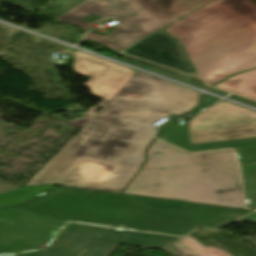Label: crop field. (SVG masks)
I'll list each match as a JSON object with an SVG mask.
<instances>
[{
	"mask_svg": "<svg viewBox=\"0 0 256 256\" xmlns=\"http://www.w3.org/2000/svg\"><path fill=\"white\" fill-rule=\"evenodd\" d=\"M197 101V91L137 71L26 186L119 192L144 161L156 130L152 124L170 113L184 114Z\"/></svg>",
	"mask_w": 256,
	"mask_h": 256,
	"instance_id": "obj_1",
	"label": "crop field"
},
{
	"mask_svg": "<svg viewBox=\"0 0 256 256\" xmlns=\"http://www.w3.org/2000/svg\"><path fill=\"white\" fill-rule=\"evenodd\" d=\"M62 221L184 235L198 226L219 228L251 211L59 188L16 206Z\"/></svg>",
	"mask_w": 256,
	"mask_h": 256,
	"instance_id": "obj_2",
	"label": "crop field"
},
{
	"mask_svg": "<svg viewBox=\"0 0 256 256\" xmlns=\"http://www.w3.org/2000/svg\"><path fill=\"white\" fill-rule=\"evenodd\" d=\"M147 155L143 170L122 193L243 208L231 149L187 153L156 139Z\"/></svg>",
	"mask_w": 256,
	"mask_h": 256,
	"instance_id": "obj_3",
	"label": "crop field"
},
{
	"mask_svg": "<svg viewBox=\"0 0 256 256\" xmlns=\"http://www.w3.org/2000/svg\"><path fill=\"white\" fill-rule=\"evenodd\" d=\"M164 30L180 40L207 84L256 68L254 0H217Z\"/></svg>",
	"mask_w": 256,
	"mask_h": 256,
	"instance_id": "obj_4",
	"label": "crop field"
},
{
	"mask_svg": "<svg viewBox=\"0 0 256 256\" xmlns=\"http://www.w3.org/2000/svg\"><path fill=\"white\" fill-rule=\"evenodd\" d=\"M109 18L119 21L114 32L106 37L89 32L85 37L118 51L173 21L150 0H87L54 20L87 31Z\"/></svg>",
	"mask_w": 256,
	"mask_h": 256,
	"instance_id": "obj_5",
	"label": "crop field"
},
{
	"mask_svg": "<svg viewBox=\"0 0 256 256\" xmlns=\"http://www.w3.org/2000/svg\"><path fill=\"white\" fill-rule=\"evenodd\" d=\"M181 237L69 223L42 251L6 256H110L120 245L163 249Z\"/></svg>",
	"mask_w": 256,
	"mask_h": 256,
	"instance_id": "obj_6",
	"label": "crop field"
},
{
	"mask_svg": "<svg viewBox=\"0 0 256 256\" xmlns=\"http://www.w3.org/2000/svg\"><path fill=\"white\" fill-rule=\"evenodd\" d=\"M188 124L190 144L256 137V112L224 100Z\"/></svg>",
	"mask_w": 256,
	"mask_h": 256,
	"instance_id": "obj_7",
	"label": "crop field"
},
{
	"mask_svg": "<svg viewBox=\"0 0 256 256\" xmlns=\"http://www.w3.org/2000/svg\"><path fill=\"white\" fill-rule=\"evenodd\" d=\"M64 224L15 207L0 209V255L39 249Z\"/></svg>",
	"mask_w": 256,
	"mask_h": 256,
	"instance_id": "obj_8",
	"label": "crop field"
},
{
	"mask_svg": "<svg viewBox=\"0 0 256 256\" xmlns=\"http://www.w3.org/2000/svg\"><path fill=\"white\" fill-rule=\"evenodd\" d=\"M73 70L75 73L91 78L84 86L91 89L92 95L103 98L95 107L89 108L85 119L67 121V123L82 128L135 74L133 70L106 60L75 50Z\"/></svg>",
	"mask_w": 256,
	"mask_h": 256,
	"instance_id": "obj_9",
	"label": "crop field"
},
{
	"mask_svg": "<svg viewBox=\"0 0 256 256\" xmlns=\"http://www.w3.org/2000/svg\"><path fill=\"white\" fill-rule=\"evenodd\" d=\"M166 34L160 31L140 41L124 53L193 75L192 67L179 42Z\"/></svg>",
	"mask_w": 256,
	"mask_h": 256,
	"instance_id": "obj_10",
	"label": "crop field"
},
{
	"mask_svg": "<svg viewBox=\"0 0 256 256\" xmlns=\"http://www.w3.org/2000/svg\"><path fill=\"white\" fill-rule=\"evenodd\" d=\"M158 138L176 144L188 151L232 147L236 151L240 164L256 162V138L189 145L188 129L172 121L160 129Z\"/></svg>",
	"mask_w": 256,
	"mask_h": 256,
	"instance_id": "obj_11",
	"label": "crop field"
},
{
	"mask_svg": "<svg viewBox=\"0 0 256 256\" xmlns=\"http://www.w3.org/2000/svg\"><path fill=\"white\" fill-rule=\"evenodd\" d=\"M215 87L256 100V70L237 74Z\"/></svg>",
	"mask_w": 256,
	"mask_h": 256,
	"instance_id": "obj_12",
	"label": "crop field"
},
{
	"mask_svg": "<svg viewBox=\"0 0 256 256\" xmlns=\"http://www.w3.org/2000/svg\"><path fill=\"white\" fill-rule=\"evenodd\" d=\"M56 184L23 187L21 189L0 194V207L25 203L34 197L51 190Z\"/></svg>",
	"mask_w": 256,
	"mask_h": 256,
	"instance_id": "obj_13",
	"label": "crop field"
},
{
	"mask_svg": "<svg viewBox=\"0 0 256 256\" xmlns=\"http://www.w3.org/2000/svg\"><path fill=\"white\" fill-rule=\"evenodd\" d=\"M211 0H155L153 1L174 19Z\"/></svg>",
	"mask_w": 256,
	"mask_h": 256,
	"instance_id": "obj_14",
	"label": "crop field"
},
{
	"mask_svg": "<svg viewBox=\"0 0 256 256\" xmlns=\"http://www.w3.org/2000/svg\"><path fill=\"white\" fill-rule=\"evenodd\" d=\"M184 252H188L194 256H231L227 252L215 247L204 248L191 236H187L174 244Z\"/></svg>",
	"mask_w": 256,
	"mask_h": 256,
	"instance_id": "obj_15",
	"label": "crop field"
},
{
	"mask_svg": "<svg viewBox=\"0 0 256 256\" xmlns=\"http://www.w3.org/2000/svg\"><path fill=\"white\" fill-rule=\"evenodd\" d=\"M248 208L256 209V164L241 165Z\"/></svg>",
	"mask_w": 256,
	"mask_h": 256,
	"instance_id": "obj_16",
	"label": "crop field"
},
{
	"mask_svg": "<svg viewBox=\"0 0 256 256\" xmlns=\"http://www.w3.org/2000/svg\"><path fill=\"white\" fill-rule=\"evenodd\" d=\"M119 55L126 58V59L132 60V61L140 63L142 65H145V66H148V67H151V68H154V69H157V70H160V71H163V72L175 75V76H180V77L187 78V79H190V80L192 79L191 76H188V75H185V74H182V73H179V72H176V71H173V70H170V69L158 66V65H154V64H151V63H148V62H145V61H142V60L124 55V54H121V53H119Z\"/></svg>",
	"mask_w": 256,
	"mask_h": 256,
	"instance_id": "obj_17",
	"label": "crop field"
},
{
	"mask_svg": "<svg viewBox=\"0 0 256 256\" xmlns=\"http://www.w3.org/2000/svg\"><path fill=\"white\" fill-rule=\"evenodd\" d=\"M217 100H219V99L215 98L213 96L204 94V95L201 96V101H200L199 107L196 108L195 110H193L192 112H190L189 114L193 115V114L207 108L208 106H210L211 104H213Z\"/></svg>",
	"mask_w": 256,
	"mask_h": 256,
	"instance_id": "obj_18",
	"label": "crop field"
},
{
	"mask_svg": "<svg viewBox=\"0 0 256 256\" xmlns=\"http://www.w3.org/2000/svg\"><path fill=\"white\" fill-rule=\"evenodd\" d=\"M141 68H142V67H141ZM143 69H146V70H149V71H152V72H155V73H158V74H161V75H164V76H167V77H170V78H173V79L179 80V81H182V82H184V83H187V84H190V85H193V86L199 87V88H203V89H206V88H207V87H204V86H201V85L195 84V83H193V82H192V81H190V80L183 79V78H180V77H175V76H172V75H169V74H166V73H163V72H160V71H157V70H154V69H151V68L145 67V66H143Z\"/></svg>",
	"mask_w": 256,
	"mask_h": 256,
	"instance_id": "obj_19",
	"label": "crop field"
},
{
	"mask_svg": "<svg viewBox=\"0 0 256 256\" xmlns=\"http://www.w3.org/2000/svg\"><path fill=\"white\" fill-rule=\"evenodd\" d=\"M228 97L256 107V102H253L244 98H240L234 95H230Z\"/></svg>",
	"mask_w": 256,
	"mask_h": 256,
	"instance_id": "obj_20",
	"label": "crop field"
},
{
	"mask_svg": "<svg viewBox=\"0 0 256 256\" xmlns=\"http://www.w3.org/2000/svg\"><path fill=\"white\" fill-rule=\"evenodd\" d=\"M13 189H17V188L10 186L8 184H5L3 182H0V193L9 191V190H13Z\"/></svg>",
	"mask_w": 256,
	"mask_h": 256,
	"instance_id": "obj_21",
	"label": "crop field"
},
{
	"mask_svg": "<svg viewBox=\"0 0 256 256\" xmlns=\"http://www.w3.org/2000/svg\"><path fill=\"white\" fill-rule=\"evenodd\" d=\"M102 55H105V56H108V57H111V58H114V59H117V60H120V61L129 63V64H131V65H134V66H137V67H140V68L142 67V65H139V64H136V63H133V62H130V61L122 60V59L116 58V57H114V56L105 54V53H103Z\"/></svg>",
	"mask_w": 256,
	"mask_h": 256,
	"instance_id": "obj_22",
	"label": "crop field"
},
{
	"mask_svg": "<svg viewBox=\"0 0 256 256\" xmlns=\"http://www.w3.org/2000/svg\"><path fill=\"white\" fill-rule=\"evenodd\" d=\"M242 220H246V221H249V222H252V223H256V213L242 219Z\"/></svg>",
	"mask_w": 256,
	"mask_h": 256,
	"instance_id": "obj_23",
	"label": "crop field"
},
{
	"mask_svg": "<svg viewBox=\"0 0 256 256\" xmlns=\"http://www.w3.org/2000/svg\"><path fill=\"white\" fill-rule=\"evenodd\" d=\"M209 91H211V92H214V93H217V94H220V95H223V96H225V95H227L228 93H226V92H222V91H219V90H216V89H213V88H211V89H208Z\"/></svg>",
	"mask_w": 256,
	"mask_h": 256,
	"instance_id": "obj_24",
	"label": "crop field"
},
{
	"mask_svg": "<svg viewBox=\"0 0 256 256\" xmlns=\"http://www.w3.org/2000/svg\"><path fill=\"white\" fill-rule=\"evenodd\" d=\"M80 1H82V2H83V1H85V0H80Z\"/></svg>",
	"mask_w": 256,
	"mask_h": 256,
	"instance_id": "obj_25",
	"label": "crop field"
},
{
	"mask_svg": "<svg viewBox=\"0 0 256 256\" xmlns=\"http://www.w3.org/2000/svg\"><path fill=\"white\" fill-rule=\"evenodd\" d=\"M153 1V0H152Z\"/></svg>",
	"mask_w": 256,
	"mask_h": 256,
	"instance_id": "obj_26",
	"label": "crop field"
}]
</instances>
